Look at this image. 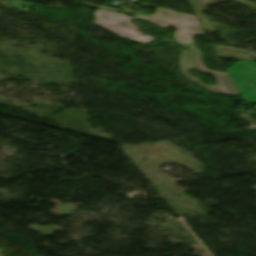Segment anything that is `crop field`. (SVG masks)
<instances>
[{
	"label": "crop field",
	"mask_w": 256,
	"mask_h": 256,
	"mask_svg": "<svg viewBox=\"0 0 256 256\" xmlns=\"http://www.w3.org/2000/svg\"><path fill=\"white\" fill-rule=\"evenodd\" d=\"M145 5L142 3H138ZM148 6V5H145ZM152 7V6H149ZM155 8V7H153ZM155 14L152 17L137 15L136 19H145L160 27L172 26L176 27V33L174 34L175 40L182 45H194L191 37L196 34L205 35L196 16L173 12L168 9L155 8Z\"/></svg>",
	"instance_id": "obj_1"
},
{
	"label": "crop field",
	"mask_w": 256,
	"mask_h": 256,
	"mask_svg": "<svg viewBox=\"0 0 256 256\" xmlns=\"http://www.w3.org/2000/svg\"><path fill=\"white\" fill-rule=\"evenodd\" d=\"M83 5H88V6H92V7H97V8H102V9H107V10H113V11H117L116 9H111V8H105V7H100V6H96V5H92V4H89V3H81Z\"/></svg>",
	"instance_id": "obj_5"
},
{
	"label": "crop field",
	"mask_w": 256,
	"mask_h": 256,
	"mask_svg": "<svg viewBox=\"0 0 256 256\" xmlns=\"http://www.w3.org/2000/svg\"><path fill=\"white\" fill-rule=\"evenodd\" d=\"M227 72L245 103L256 104V64L240 61Z\"/></svg>",
	"instance_id": "obj_4"
},
{
	"label": "crop field",
	"mask_w": 256,
	"mask_h": 256,
	"mask_svg": "<svg viewBox=\"0 0 256 256\" xmlns=\"http://www.w3.org/2000/svg\"><path fill=\"white\" fill-rule=\"evenodd\" d=\"M94 15H96L97 19L93 23L122 38H129L133 42L142 44H148L154 40V38L137 33L135 25L131 23L132 19L126 15L100 9Z\"/></svg>",
	"instance_id": "obj_3"
},
{
	"label": "crop field",
	"mask_w": 256,
	"mask_h": 256,
	"mask_svg": "<svg viewBox=\"0 0 256 256\" xmlns=\"http://www.w3.org/2000/svg\"><path fill=\"white\" fill-rule=\"evenodd\" d=\"M201 58L202 52L195 47L189 48L188 51H182L180 70L183 75L188 80L205 87L209 92L225 95H238L228 74L207 70L205 66L201 64ZM190 69H196L199 72H201V70L207 71V73L213 75L217 79L218 85H204L198 78L189 75L188 70Z\"/></svg>",
	"instance_id": "obj_2"
}]
</instances>
